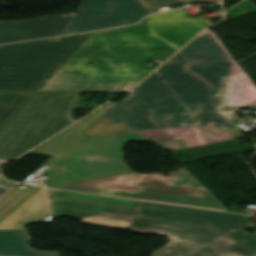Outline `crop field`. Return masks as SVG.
<instances>
[{
  "label": "crop field",
  "mask_w": 256,
  "mask_h": 256,
  "mask_svg": "<svg viewBox=\"0 0 256 256\" xmlns=\"http://www.w3.org/2000/svg\"><path fill=\"white\" fill-rule=\"evenodd\" d=\"M38 187H30L25 190L14 188L6 196L0 200V217L3 218L30 194H32Z\"/></svg>",
  "instance_id": "16"
},
{
  "label": "crop field",
  "mask_w": 256,
  "mask_h": 256,
  "mask_svg": "<svg viewBox=\"0 0 256 256\" xmlns=\"http://www.w3.org/2000/svg\"><path fill=\"white\" fill-rule=\"evenodd\" d=\"M0 182L1 183H5V184H8V185H12L14 186L15 184L13 183H10L8 181H4L1 177H0ZM12 187H8V186H5L3 184H0V197L5 194L7 191H9Z\"/></svg>",
  "instance_id": "17"
},
{
  "label": "crop field",
  "mask_w": 256,
  "mask_h": 256,
  "mask_svg": "<svg viewBox=\"0 0 256 256\" xmlns=\"http://www.w3.org/2000/svg\"><path fill=\"white\" fill-rule=\"evenodd\" d=\"M31 92H1L0 91V127L21 105Z\"/></svg>",
  "instance_id": "13"
},
{
  "label": "crop field",
  "mask_w": 256,
  "mask_h": 256,
  "mask_svg": "<svg viewBox=\"0 0 256 256\" xmlns=\"http://www.w3.org/2000/svg\"><path fill=\"white\" fill-rule=\"evenodd\" d=\"M207 25L179 9L130 27L0 46V89L128 92L153 58L173 54Z\"/></svg>",
  "instance_id": "1"
},
{
  "label": "crop field",
  "mask_w": 256,
  "mask_h": 256,
  "mask_svg": "<svg viewBox=\"0 0 256 256\" xmlns=\"http://www.w3.org/2000/svg\"><path fill=\"white\" fill-rule=\"evenodd\" d=\"M133 232L167 236L169 243L151 256H251L249 249L202 226L136 217Z\"/></svg>",
  "instance_id": "5"
},
{
  "label": "crop field",
  "mask_w": 256,
  "mask_h": 256,
  "mask_svg": "<svg viewBox=\"0 0 256 256\" xmlns=\"http://www.w3.org/2000/svg\"><path fill=\"white\" fill-rule=\"evenodd\" d=\"M49 190H50L51 196H55V197H64V198L89 200V201L104 202V203H111V204H119V205H125V206L136 207V208H139L140 205L142 204V202L140 201L80 194V193H73V192H66V191H59V190H52V189H49Z\"/></svg>",
  "instance_id": "14"
},
{
  "label": "crop field",
  "mask_w": 256,
  "mask_h": 256,
  "mask_svg": "<svg viewBox=\"0 0 256 256\" xmlns=\"http://www.w3.org/2000/svg\"><path fill=\"white\" fill-rule=\"evenodd\" d=\"M75 14L0 23V44L65 35Z\"/></svg>",
  "instance_id": "11"
},
{
  "label": "crop field",
  "mask_w": 256,
  "mask_h": 256,
  "mask_svg": "<svg viewBox=\"0 0 256 256\" xmlns=\"http://www.w3.org/2000/svg\"><path fill=\"white\" fill-rule=\"evenodd\" d=\"M230 64L204 32L102 116L128 130L232 124L221 111Z\"/></svg>",
  "instance_id": "2"
},
{
  "label": "crop field",
  "mask_w": 256,
  "mask_h": 256,
  "mask_svg": "<svg viewBox=\"0 0 256 256\" xmlns=\"http://www.w3.org/2000/svg\"><path fill=\"white\" fill-rule=\"evenodd\" d=\"M0 220H1V218H0Z\"/></svg>",
  "instance_id": "19"
},
{
  "label": "crop field",
  "mask_w": 256,
  "mask_h": 256,
  "mask_svg": "<svg viewBox=\"0 0 256 256\" xmlns=\"http://www.w3.org/2000/svg\"><path fill=\"white\" fill-rule=\"evenodd\" d=\"M102 194L226 210L225 207L222 204H220L219 202L182 198V197H175V196H167V195H160V194H152V193H145V192H138V191H130V190L111 188V187H105Z\"/></svg>",
  "instance_id": "12"
},
{
  "label": "crop field",
  "mask_w": 256,
  "mask_h": 256,
  "mask_svg": "<svg viewBox=\"0 0 256 256\" xmlns=\"http://www.w3.org/2000/svg\"><path fill=\"white\" fill-rule=\"evenodd\" d=\"M138 216L207 225L256 251V235L244 232V228L252 227L242 223L252 216L148 202H144Z\"/></svg>",
  "instance_id": "7"
},
{
  "label": "crop field",
  "mask_w": 256,
  "mask_h": 256,
  "mask_svg": "<svg viewBox=\"0 0 256 256\" xmlns=\"http://www.w3.org/2000/svg\"><path fill=\"white\" fill-rule=\"evenodd\" d=\"M220 0H83L69 34L135 23L163 6Z\"/></svg>",
  "instance_id": "6"
},
{
  "label": "crop field",
  "mask_w": 256,
  "mask_h": 256,
  "mask_svg": "<svg viewBox=\"0 0 256 256\" xmlns=\"http://www.w3.org/2000/svg\"><path fill=\"white\" fill-rule=\"evenodd\" d=\"M53 214L57 217L84 220L85 224L128 229L138 211L93 203L51 198Z\"/></svg>",
  "instance_id": "10"
},
{
  "label": "crop field",
  "mask_w": 256,
  "mask_h": 256,
  "mask_svg": "<svg viewBox=\"0 0 256 256\" xmlns=\"http://www.w3.org/2000/svg\"><path fill=\"white\" fill-rule=\"evenodd\" d=\"M105 186L217 201L213 195L205 189L171 186L162 178L132 173L74 182L51 188L101 194Z\"/></svg>",
  "instance_id": "9"
},
{
  "label": "crop field",
  "mask_w": 256,
  "mask_h": 256,
  "mask_svg": "<svg viewBox=\"0 0 256 256\" xmlns=\"http://www.w3.org/2000/svg\"><path fill=\"white\" fill-rule=\"evenodd\" d=\"M79 94L32 92L0 128V157L15 158L75 122Z\"/></svg>",
  "instance_id": "4"
},
{
  "label": "crop field",
  "mask_w": 256,
  "mask_h": 256,
  "mask_svg": "<svg viewBox=\"0 0 256 256\" xmlns=\"http://www.w3.org/2000/svg\"><path fill=\"white\" fill-rule=\"evenodd\" d=\"M114 104H108L34 150L53 155L44 163L47 165L44 172L54 175L69 171L78 181L131 172L123 160L122 148L129 141L147 140L130 131L123 138L85 137L82 133Z\"/></svg>",
  "instance_id": "3"
},
{
  "label": "crop field",
  "mask_w": 256,
  "mask_h": 256,
  "mask_svg": "<svg viewBox=\"0 0 256 256\" xmlns=\"http://www.w3.org/2000/svg\"><path fill=\"white\" fill-rule=\"evenodd\" d=\"M125 130L124 127L101 116L83 133L85 136L122 137Z\"/></svg>",
  "instance_id": "15"
},
{
  "label": "crop field",
  "mask_w": 256,
  "mask_h": 256,
  "mask_svg": "<svg viewBox=\"0 0 256 256\" xmlns=\"http://www.w3.org/2000/svg\"><path fill=\"white\" fill-rule=\"evenodd\" d=\"M50 214L45 188H41L0 222V256H60L58 252L35 251L29 247L22 225L43 220Z\"/></svg>",
  "instance_id": "8"
},
{
  "label": "crop field",
  "mask_w": 256,
  "mask_h": 256,
  "mask_svg": "<svg viewBox=\"0 0 256 256\" xmlns=\"http://www.w3.org/2000/svg\"><path fill=\"white\" fill-rule=\"evenodd\" d=\"M2 165V162L0 161V166Z\"/></svg>",
  "instance_id": "18"
}]
</instances>
